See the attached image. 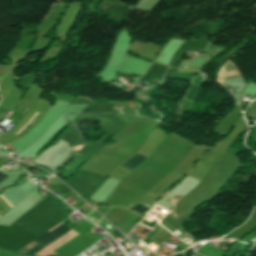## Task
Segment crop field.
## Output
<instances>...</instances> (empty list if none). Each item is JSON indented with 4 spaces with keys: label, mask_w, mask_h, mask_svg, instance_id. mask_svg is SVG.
Listing matches in <instances>:
<instances>
[{
    "label": "crop field",
    "mask_w": 256,
    "mask_h": 256,
    "mask_svg": "<svg viewBox=\"0 0 256 256\" xmlns=\"http://www.w3.org/2000/svg\"><path fill=\"white\" fill-rule=\"evenodd\" d=\"M57 226H55L54 228H56ZM54 228H52L51 230H53ZM68 229H70V228L63 223L60 226H58L56 229H54L53 231H51V230H50L51 232L48 231L47 233H45L43 236H41L39 239H37L35 241L44 247L48 243H50L51 241L56 239L58 236H60L64 232H66Z\"/></svg>",
    "instance_id": "1"
},
{
    "label": "crop field",
    "mask_w": 256,
    "mask_h": 256,
    "mask_svg": "<svg viewBox=\"0 0 256 256\" xmlns=\"http://www.w3.org/2000/svg\"><path fill=\"white\" fill-rule=\"evenodd\" d=\"M240 72L236 67L230 62V60L225 64V66L220 70L218 76V82L223 83L225 80L240 77Z\"/></svg>",
    "instance_id": "2"
},
{
    "label": "crop field",
    "mask_w": 256,
    "mask_h": 256,
    "mask_svg": "<svg viewBox=\"0 0 256 256\" xmlns=\"http://www.w3.org/2000/svg\"><path fill=\"white\" fill-rule=\"evenodd\" d=\"M145 158H146L145 156L136 152L135 154H133L128 160H126L122 164L133 169L137 165H139L141 162H143L145 160Z\"/></svg>",
    "instance_id": "3"
},
{
    "label": "crop field",
    "mask_w": 256,
    "mask_h": 256,
    "mask_svg": "<svg viewBox=\"0 0 256 256\" xmlns=\"http://www.w3.org/2000/svg\"><path fill=\"white\" fill-rule=\"evenodd\" d=\"M36 114H37V113H36ZM36 114L34 115V117L36 116ZM40 115H41V114L38 113L35 118L33 117L34 119H33V118H32L33 120L31 119L32 122H31V120H30V121L27 123V125H28V124L31 122L28 126L26 125L27 128H26V126H25L20 132H22V131L26 128V129L22 132V133H24V132L31 126V124H32ZM20 132H18L17 135H18ZM22 133H20L19 136H20Z\"/></svg>",
    "instance_id": "4"
},
{
    "label": "crop field",
    "mask_w": 256,
    "mask_h": 256,
    "mask_svg": "<svg viewBox=\"0 0 256 256\" xmlns=\"http://www.w3.org/2000/svg\"><path fill=\"white\" fill-rule=\"evenodd\" d=\"M6 178H8V176H6V175L0 173V183H1L2 181H4Z\"/></svg>",
    "instance_id": "5"
},
{
    "label": "crop field",
    "mask_w": 256,
    "mask_h": 256,
    "mask_svg": "<svg viewBox=\"0 0 256 256\" xmlns=\"http://www.w3.org/2000/svg\"><path fill=\"white\" fill-rule=\"evenodd\" d=\"M5 201H6V203L12 208V206L8 203V201L3 197V196H1Z\"/></svg>",
    "instance_id": "6"
},
{
    "label": "crop field",
    "mask_w": 256,
    "mask_h": 256,
    "mask_svg": "<svg viewBox=\"0 0 256 256\" xmlns=\"http://www.w3.org/2000/svg\"><path fill=\"white\" fill-rule=\"evenodd\" d=\"M17 256H26V255H22V254H17Z\"/></svg>",
    "instance_id": "7"
}]
</instances>
